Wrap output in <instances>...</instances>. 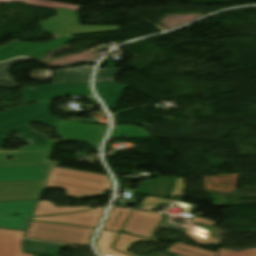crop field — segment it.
<instances>
[{
  "mask_svg": "<svg viewBox=\"0 0 256 256\" xmlns=\"http://www.w3.org/2000/svg\"><path fill=\"white\" fill-rule=\"evenodd\" d=\"M38 201L0 202V227L26 230ZM14 213L20 216L12 215Z\"/></svg>",
  "mask_w": 256,
  "mask_h": 256,
  "instance_id": "412701ff",
  "label": "crop field"
},
{
  "mask_svg": "<svg viewBox=\"0 0 256 256\" xmlns=\"http://www.w3.org/2000/svg\"><path fill=\"white\" fill-rule=\"evenodd\" d=\"M56 131L61 139L87 142L96 150L106 132V126H89L84 124L60 121Z\"/></svg>",
  "mask_w": 256,
  "mask_h": 256,
  "instance_id": "e52e79f7",
  "label": "crop field"
},
{
  "mask_svg": "<svg viewBox=\"0 0 256 256\" xmlns=\"http://www.w3.org/2000/svg\"><path fill=\"white\" fill-rule=\"evenodd\" d=\"M50 101L0 113V130L38 121L56 127L59 119L49 114Z\"/></svg>",
  "mask_w": 256,
  "mask_h": 256,
  "instance_id": "34b2d1b8",
  "label": "crop field"
},
{
  "mask_svg": "<svg viewBox=\"0 0 256 256\" xmlns=\"http://www.w3.org/2000/svg\"><path fill=\"white\" fill-rule=\"evenodd\" d=\"M162 218L163 216L160 214L134 210L124 231L151 238L155 228L159 225Z\"/></svg>",
  "mask_w": 256,
  "mask_h": 256,
  "instance_id": "5a996713",
  "label": "crop field"
},
{
  "mask_svg": "<svg viewBox=\"0 0 256 256\" xmlns=\"http://www.w3.org/2000/svg\"><path fill=\"white\" fill-rule=\"evenodd\" d=\"M25 231L0 228V256H58L66 244L23 238ZM73 246V245H69Z\"/></svg>",
  "mask_w": 256,
  "mask_h": 256,
  "instance_id": "ac0d7876",
  "label": "crop field"
},
{
  "mask_svg": "<svg viewBox=\"0 0 256 256\" xmlns=\"http://www.w3.org/2000/svg\"><path fill=\"white\" fill-rule=\"evenodd\" d=\"M50 165L0 167V181L46 179Z\"/></svg>",
  "mask_w": 256,
  "mask_h": 256,
  "instance_id": "28ad6ade",
  "label": "crop field"
},
{
  "mask_svg": "<svg viewBox=\"0 0 256 256\" xmlns=\"http://www.w3.org/2000/svg\"><path fill=\"white\" fill-rule=\"evenodd\" d=\"M120 69H98L95 83L114 82Z\"/></svg>",
  "mask_w": 256,
  "mask_h": 256,
  "instance_id": "a9b5d70f",
  "label": "crop field"
},
{
  "mask_svg": "<svg viewBox=\"0 0 256 256\" xmlns=\"http://www.w3.org/2000/svg\"><path fill=\"white\" fill-rule=\"evenodd\" d=\"M25 60H29V59H16L5 64H0V88L13 89L18 87L16 82L10 80L7 74V69L16 63L25 61Z\"/></svg>",
  "mask_w": 256,
  "mask_h": 256,
  "instance_id": "92a150f3",
  "label": "crop field"
},
{
  "mask_svg": "<svg viewBox=\"0 0 256 256\" xmlns=\"http://www.w3.org/2000/svg\"><path fill=\"white\" fill-rule=\"evenodd\" d=\"M31 164H55V163L49 162V161L0 162V166L31 165Z\"/></svg>",
  "mask_w": 256,
  "mask_h": 256,
  "instance_id": "730fd06b",
  "label": "crop field"
},
{
  "mask_svg": "<svg viewBox=\"0 0 256 256\" xmlns=\"http://www.w3.org/2000/svg\"><path fill=\"white\" fill-rule=\"evenodd\" d=\"M93 66H81L55 71L52 84L89 83Z\"/></svg>",
  "mask_w": 256,
  "mask_h": 256,
  "instance_id": "22f410ed",
  "label": "crop field"
},
{
  "mask_svg": "<svg viewBox=\"0 0 256 256\" xmlns=\"http://www.w3.org/2000/svg\"><path fill=\"white\" fill-rule=\"evenodd\" d=\"M55 141L50 140L47 147L28 145L15 151L0 150V161H19V160H48ZM12 157L11 160H5Z\"/></svg>",
  "mask_w": 256,
  "mask_h": 256,
  "instance_id": "d1516ede",
  "label": "crop field"
},
{
  "mask_svg": "<svg viewBox=\"0 0 256 256\" xmlns=\"http://www.w3.org/2000/svg\"><path fill=\"white\" fill-rule=\"evenodd\" d=\"M110 137H149L148 133L133 126H114Z\"/></svg>",
  "mask_w": 256,
  "mask_h": 256,
  "instance_id": "bc2a9ffb",
  "label": "crop field"
},
{
  "mask_svg": "<svg viewBox=\"0 0 256 256\" xmlns=\"http://www.w3.org/2000/svg\"><path fill=\"white\" fill-rule=\"evenodd\" d=\"M168 251L181 254L184 256H216V253L204 251L201 249L193 248L190 246L182 245L176 243L171 248L168 249Z\"/></svg>",
  "mask_w": 256,
  "mask_h": 256,
  "instance_id": "214f88e0",
  "label": "crop field"
},
{
  "mask_svg": "<svg viewBox=\"0 0 256 256\" xmlns=\"http://www.w3.org/2000/svg\"><path fill=\"white\" fill-rule=\"evenodd\" d=\"M99 97L111 108H115L120 97L128 86L116 83L95 84Z\"/></svg>",
  "mask_w": 256,
  "mask_h": 256,
  "instance_id": "cbeb9de0",
  "label": "crop field"
},
{
  "mask_svg": "<svg viewBox=\"0 0 256 256\" xmlns=\"http://www.w3.org/2000/svg\"><path fill=\"white\" fill-rule=\"evenodd\" d=\"M194 222L207 224L211 226L215 225V222H212L211 220H205L198 217H193L187 220L186 222L179 223V224L172 223L170 222L169 218H165L159 227L185 233L189 238H191L196 243L205 245V246H208L210 244L217 245L220 242V240H217L208 236L207 233H209V230H205L194 225L193 224Z\"/></svg>",
  "mask_w": 256,
  "mask_h": 256,
  "instance_id": "d8731c3e",
  "label": "crop field"
},
{
  "mask_svg": "<svg viewBox=\"0 0 256 256\" xmlns=\"http://www.w3.org/2000/svg\"><path fill=\"white\" fill-rule=\"evenodd\" d=\"M185 178L176 179L175 187L170 197H174L175 195H179L178 197L181 198L183 191L185 189V184H183Z\"/></svg>",
  "mask_w": 256,
  "mask_h": 256,
  "instance_id": "eef30255",
  "label": "crop field"
},
{
  "mask_svg": "<svg viewBox=\"0 0 256 256\" xmlns=\"http://www.w3.org/2000/svg\"><path fill=\"white\" fill-rule=\"evenodd\" d=\"M13 1L25 2L27 4L41 6V7H47V8H52V9L64 8V9H68V10L78 11L81 8L80 6H75V5L65 4V3H58V2H48V1H42V0H0V2H4V3H10Z\"/></svg>",
  "mask_w": 256,
  "mask_h": 256,
  "instance_id": "4a817a6b",
  "label": "crop field"
},
{
  "mask_svg": "<svg viewBox=\"0 0 256 256\" xmlns=\"http://www.w3.org/2000/svg\"><path fill=\"white\" fill-rule=\"evenodd\" d=\"M48 180L0 182V201L40 199Z\"/></svg>",
  "mask_w": 256,
  "mask_h": 256,
  "instance_id": "dd49c442",
  "label": "crop field"
},
{
  "mask_svg": "<svg viewBox=\"0 0 256 256\" xmlns=\"http://www.w3.org/2000/svg\"><path fill=\"white\" fill-rule=\"evenodd\" d=\"M46 188L64 189L66 196L82 199L102 195L111 186L108 176L54 167Z\"/></svg>",
  "mask_w": 256,
  "mask_h": 256,
  "instance_id": "8a807250",
  "label": "crop field"
},
{
  "mask_svg": "<svg viewBox=\"0 0 256 256\" xmlns=\"http://www.w3.org/2000/svg\"><path fill=\"white\" fill-rule=\"evenodd\" d=\"M119 233L102 230L99 238L96 241V247L111 249L114 241Z\"/></svg>",
  "mask_w": 256,
  "mask_h": 256,
  "instance_id": "00972430",
  "label": "crop field"
},
{
  "mask_svg": "<svg viewBox=\"0 0 256 256\" xmlns=\"http://www.w3.org/2000/svg\"><path fill=\"white\" fill-rule=\"evenodd\" d=\"M14 131L23 133L17 138L25 140L29 142V144L46 146L49 141V139L45 138L44 136L30 130L28 125H25V126L13 128V129L5 130V131H0V146L4 143L6 139V137L3 135L10 132H14Z\"/></svg>",
  "mask_w": 256,
  "mask_h": 256,
  "instance_id": "5142ce71",
  "label": "crop field"
},
{
  "mask_svg": "<svg viewBox=\"0 0 256 256\" xmlns=\"http://www.w3.org/2000/svg\"><path fill=\"white\" fill-rule=\"evenodd\" d=\"M137 241H152L144 238H139L131 235H124V234H119L117 240L115 241L113 248L118 249L122 252H125L131 256H136L132 253L127 252V248L133 244L134 242Z\"/></svg>",
  "mask_w": 256,
  "mask_h": 256,
  "instance_id": "dafd665d",
  "label": "crop field"
},
{
  "mask_svg": "<svg viewBox=\"0 0 256 256\" xmlns=\"http://www.w3.org/2000/svg\"><path fill=\"white\" fill-rule=\"evenodd\" d=\"M98 250L101 252L103 256H129L125 253H122L120 251H117L112 248V250H105V249H99Z\"/></svg>",
  "mask_w": 256,
  "mask_h": 256,
  "instance_id": "ae1a2a85",
  "label": "crop field"
},
{
  "mask_svg": "<svg viewBox=\"0 0 256 256\" xmlns=\"http://www.w3.org/2000/svg\"><path fill=\"white\" fill-rule=\"evenodd\" d=\"M219 256H256V249H249L243 251L220 249Z\"/></svg>",
  "mask_w": 256,
  "mask_h": 256,
  "instance_id": "4177f3b9",
  "label": "crop field"
},
{
  "mask_svg": "<svg viewBox=\"0 0 256 256\" xmlns=\"http://www.w3.org/2000/svg\"><path fill=\"white\" fill-rule=\"evenodd\" d=\"M131 210L112 207L103 229L120 232Z\"/></svg>",
  "mask_w": 256,
  "mask_h": 256,
  "instance_id": "d9b57169",
  "label": "crop field"
},
{
  "mask_svg": "<svg viewBox=\"0 0 256 256\" xmlns=\"http://www.w3.org/2000/svg\"><path fill=\"white\" fill-rule=\"evenodd\" d=\"M210 199H213L214 204L218 205V207L230 202L229 198H223L221 196H210Z\"/></svg>",
  "mask_w": 256,
  "mask_h": 256,
  "instance_id": "d3111659",
  "label": "crop field"
},
{
  "mask_svg": "<svg viewBox=\"0 0 256 256\" xmlns=\"http://www.w3.org/2000/svg\"><path fill=\"white\" fill-rule=\"evenodd\" d=\"M85 209H90V207L55 208L53 203H50L48 201H43V202L38 203L33 216L46 215V214H57V213H70V212H75V211H80V210H85Z\"/></svg>",
  "mask_w": 256,
  "mask_h": 256,
  "instance_id": "733c2abd",
  "label": "crop field"
},
{
  "mask_svg": "<svg viewBox=\"0 0 256 256\" xmlns=\"http://www.w3.org/2000/svg\"><path fill=\"white\" fill-rule=\"evenodd\" d=\"M104 209L105 208H99L73 215L37 217L31 220L96 228Z\"/></svg>",
  "mask_w": 256,
  "mask_h": 256,
  "instance_id": "3316defc",
  "label": "crop field"
},
{
  "mask_svg": "<svg viewBox=\"0 0 256 256\" xmlns=\"http://www.w3.org/2000/svg\"><path fill=\"white\" fill-rule=\"evenodd\" d=\"M25 102L53 99L67 95L90 96L88 84H61L45 87H22Z\"/></svg>",
  "mask_w": 256,
  "mask_h": 256,
  "instance_id": "f4fd0767",
  "label": "crop field"
}]
</instances>
